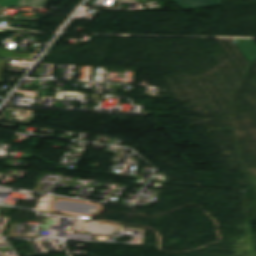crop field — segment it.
Returning <instances> with one entry per match:
<instances>
[{
    "label": "crop field",
    "mask_w": 256,
    "mask_h": 256,
    "mask_svg": "<svg viewBox=\"0 0 256 256\" xmlns=\"http://www.w3.org/2000/svg\"><path fill=\"white\" fill-rule=\"evenodd\" d=\"M248 61L256 60V45L252 40L234 39Z\"/></svg>",
    "instance_id": "8a807250"
},
{
    "label": "crop field",
    "mask_w": 256,
    "mask_h": 256,
    "mask_svg": "<svg viewBox=\"0 0 256 256\" xmlns=\"http://www.w3.org/2000/svg\"><path fill=\"white\" fill-rule=\"evenodd\" d=\"M46 0H0L1 7H11L19 5L44 6Z\"/></svg>",
    "instance_id": "ac0d7876"
},
{
    "label": "crop field",
    "mask_w": 256,
    "mask_h": 256,
    "mask_svg": "<svg viewBox=\"0 0 256 256\" xmlns=\"http://www.w3.org/2000/svg\"><path fill=\"white\" fill-rule=\"evenodd\" d=\"M36 56L37 55H34V54L0 50V57H3V58H11V59H20V60L33 61Z\"/></svg>",
    "instance_id": "34b2d1b8"
},
{
    "label": "crop field",
    "mask_w": 256,
    "mask_h": 256,
    "mask_svg": "<svg viewBox=\"0 0 256 256\" xmlns=\"http://www.w3.org/2000/svg\"><path fill=\"white\" fill-rule=\"evenodd\" d=\"M172 1L176 5H178L182 10L194 9V7L187 5L185 1H205L206 7L222 5L221 0H172Z\"/></svg>",
    "instance_id": "412701ff"
},
{
    "label": "crop field",
    "mask_w": 256,
    "mask_h": 256,
    "mask_svg": "<svg viewBox=\"0 0 256 256\" xmlns=\"http://www.w3.org/2000/svg\"><path fill=\"white\" fill-rule=\"evenodd\" d=\"M7 63L8 61L6 60H0V82H2V71Z\"/></svg>",
    "instance_id": "f4fd0767"
},
{
    "label": "crop field",
    "mask_w": 256,
    "mask_h": 256,
    "mask_svg": "<svg viewBox=\"0 0 256 256\" xmlns=\"http://www.w3.org/2000/svg\"><path fill=\"white\" fill-rule=\"evenodd\" d=\"M187 4L192 5L196 8L198 7H205L204 2H187Z\"/></svg>",
    "instance_id": "dd49c442"
},
{
    "label": "crop field",
    "mask_w": 256,
    "mask_h": 256,
    "mask_svg": "<svg viewBox=\"0 0 256 256\" xmlns=\"http://www.w3.org/2000/svg\"><path fill=\"white\" fill-rule=\"evenodd\" d=\"M16 19L37 20V19H27V18H16Z\"/></svg>",
    "instance_id": "e52e79f7"
}]
</instances>
